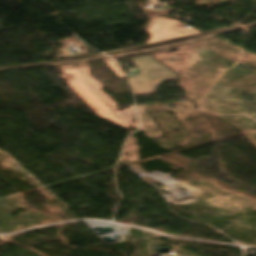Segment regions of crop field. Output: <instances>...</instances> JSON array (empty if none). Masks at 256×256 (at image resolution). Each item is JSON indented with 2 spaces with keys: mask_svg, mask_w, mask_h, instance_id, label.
Listing matches in <instances>:
<instances>
[{
  "mask_svg": "<svg viewBox=\"0 0 256 256\" xmlns=\"http://www.w3.org/2000/svg\"><path fill=\"white\" fill-rule=\"evenodd\" d=\"M152 1H157V0H152Z\"/></svg>",
  "mask_w": 256,
  "mask_h": 256,
  "instance_id": "6",
  "label": "crop field"
},
{
  "mask_svg": "<svg viewBox=\"0 0 256 256\" xmlns=\"http://www.w3.org/2000/svg\"><path fill=\"white\" fill-rule=\"evenodd\" d=\"M129 60L141 71L137 76L128 77L134 96L154 93L162 81L177 77L149 55Z\"/></svg>",
  "mask_w": 256,
  "mask_h": 256,
  "instance_id": "2",
  "label": "crop field"
},
{
  "mask_svg": "<svg viewBox=\"0 0 256 256\" xmlns=\"http://www.w3.org/2000/svg\"><path fill=\"white\" fill-rule=\"evenodd\" d=\"M148 13V15L150 16V17H152V16H156V15H160V14H164V13H167V12H169V11H171L170 9H164V10H162V11H159V12H152L151 10H146Z\"/></svg>",
  "mask_w": 256,
  "mask_h": 256,
  "instance_id": "5",
  "label": "crop field"
},
{
  "mask_svg": "<svg viewBox=\"0 0 256 256\" xmlns=\"http://www.w3.org/2000/svg\"><path fill=\"white\" fill-rule=\"evenodd\" d=\"M106 66L114 73V75L119 78L123 77V73L118 69V67L112 61H103Z\"/></svg>",
  "mask_w": 256,
  "mask_h": 256,
  "instance_id": "4",
  "label": "crop field"
},
{
  "mask_svg": "<svg viewBox=\"0 0 256 256\" xmlns=\"http://www.w3.org/2000/svg\"><path fill=\"white\" fill-rule=\"evenodd\" d=\"M146 30L151 34V38L146 44L198 32L191 27L187 29L183 28L176 20H167L163 18H153V21Z\"/></svg>",
  "mask_w": 256,
  "mask_h": 256,
  "instance_id": "3",
  "label": "crop field"
},
{
  "mask_svg": "<svg viewBox=\"0 0 256 256\" xmlns=\"http://www.w3.org/2000/svg\"><path fill=\"white\" fill-rule=\"evenodd\" d=\"M75 65L60 67L63 73L60 76L66 80L67 85L99 117L128 130L133 106L119 112L115 108L116 103L99 89L103 86L88 75L90 68L87 63ZM77 66L83 67L77 68Z\"/></svg>",
  "mask_w": 256,
  "mask_h": 256,
  "instance_id": "1",
  "label": "crop field"
}]
</instances>
